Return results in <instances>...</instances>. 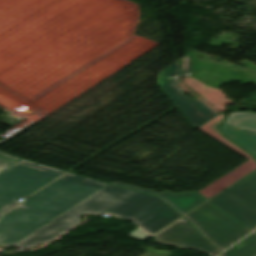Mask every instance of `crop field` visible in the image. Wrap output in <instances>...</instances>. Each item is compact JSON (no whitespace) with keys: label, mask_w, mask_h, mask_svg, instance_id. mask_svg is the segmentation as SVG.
I'll list each match as a JSON object with an SVG mask.
<instances>
[{"label":"crop field","mask_w":256,"mask_h":256,"mask_svg":"<svg viewBox=\"0 0 256 256\" xmlns=\"http://www.w3.org/2000/svg\"><path fill=\"white\" fill-rule=\"evenodd\" d=\"M83 213H110L129 217L152 234L182 217L156 196L109 184L14 245L27 248L52 241L80 223L78 217Z\"/></svg>","instance_id":"8a807250"},{"label":"crop field","mask_w":256,"mask_h":256,"mask_svg":"<svg viewBox=\"0 0 256 256\" xmlns=\"http://www.w3.org/2000/svg\"><path fill=\"white\" fill-rule=\"evenodd\" d=\"M107 184L71 173L57 179L0 220V245L10 247Z\"/></svg>","instance_id":"ac0d7876"},{"label":"crop field","mask_w":256,"mask_h":256,"mask_svg":"<svg viewBox=\"0 0 256 256\" xmlns=\"http://www.w3.org/2000/svg\"><path fill=\"white\" fill-rule=\"evenodd\" d=\"M66 172L23 159L0 173V217Z\"/></svg>","instance_id":"34b2d1b8"},{"label":"crop field","mask_w":256,"mask_h":256,"mask_svg":"<svg viewBox=\"0 0 256 256\" xmlns=\"http://www.w3.org/2000/svg\"><path fill=\"white\" fill-rule=\"evenodd\" d=\"M184 218L220 251L251 232L208 202Z\"/></svg>","instance_id":"412701ff"},{"label":"crop field","mask_w":256,"mask_h":256,"mask_svg":"<svg viewBox=\"0 0 256 256\" xmlns=\"http://www.w3.org/2000/svg\"><path fill=\"white\" fill-rule=\"evenodd\" d=\"M208 202L252 231L256 228V171Z\"/></svg>","instance_id":"f4fd0767"},{"label":"crop field","mask_w":256,"mask_h":256,"mask_svg":"<svg viewBox=\"0 0 256 256\" xmlns=\"http://www.w3.org/2000/svg\"><path fill=\"white\" fill-rule=\"evenodd\" d=\"M180 74V62L176 61L169 68L160 72L158 83L196 128L218 113L201 101L192 100L182 93L181 88L177 85Z\"/></svg>","instance_id":"dd49c442"},{"label":"crop field","mask_w":256,"mask_h":256,"mask_svg":"<svg viewBox=\"0 0 256 256\" xmlns=\"http://www.w3.org/2000/svg\"><path fill=\"white\" fill-rule=\"evenodd\" d=\"M223 118L224 115L223 113H221L199 128L227 144L233 150L246 157L248 161L243 163L239 167L235 168L234 170L230 171L217 181L200 190L199 193L202 194L207 199L212 197L216 193L220 192L221 190H223L224 188H226L227 186H229L230 184L237 181L238 179H240L241 177H243L244 175H246L247 173L256 168V161L251 155H249L242 149L238 148L221 135L218 125L222 122Z\"/></svg>","instance_id":"e52e79f7"},{"label":"crop field","mask_w":256,"mask_h":256,"mask_svg":"<svg viewBox=\"0 0 256 256\" xmlns=\"http://www.w3.org/2000/svg\"><path fill=\"white\" fill-rule=\"evenodd\" d=\"M154 237L157 243L162 245L192 248L211 256L220 253L219 250L199 234L184 218Z\"/></svg>","instance_id":"d8731c3e"},{"label":"crop field","mask_w":256,"mask_h":256,"mask_svg":"<svg viewBox=\"0 0 256 256\" xmlns=\"http://www.w3.org/2000/svg\"><path fill=\"white\" fill-rule=\"evenodd\" d=\"M233 126L232 128H230ZM227 138L252 153L256 158V114L230 113L224 125L221 126ZM238 127L241 131L233 128ZM252 130V132L250 131Z\"/></svg>","instance_id":"5a996713"},{"label":"crop field","mask_w":256,"mask_h":256,"mask_svg":"<svg viewBox=\"0 0 256 256\" xmlns=\"http://www.w3.org/2000/svg\"><path fill=\"white\" fill-rule=\"evenodd\" d=\"M113 184H117V185H121V186L129 187L132 189L158 195L162 199H164L166 202H168L171 206H173L175 209H177L182 215L190 211L200 203L207 200L198 192L184 193V194H173L170 192L159 193V192L149 191V190H145V189H141V188H137V187H133V186L117 183V182H114Z\"/></svg>","instance_id":"3316defc"},{"label":"crop field","mask_w":256,"mask_h":256,"mask_svg":"<svg viewBox=\"0 0 256 256\" xmlns=\"http://www.w3.org/2000/svg\"><path fill=\"white\" fill-rule=\"evenodd\" d=\"M221 256H256V234H251Z\"/></svg>","instance_id":"28ad6ade"},{"label":"crop field","mask_w":256,"mask_h":256,"mask_svg":"<svg viewBox=\"0 0 256 256\" xmlns=\"http://www.w3.org/2000/svg\"><path fill=\"white\" fill-rule=\"evenodd\" d=\"M179 61H181L183 64V75L182 76L191 75L192 67H191L190 56L187 55V56L183 57L182 59H180Z\"/></svg>","instance_id":"d1516ede"},{"label":"crop field","mask_w":256,"mask_h":256,"mask_svg":"<svg viewBox=\"0 0 256 256\" xmlns=\"http://www.w3.org/2000/svg\"><path fill=\"white\" fill-rule=\"evenodd\" d=\"M129 235H131L137 239H142V240H145L146 238L151 236V235H148L145 232H143L139 227L137 229H135L133 232H131Z\"/></svg>","instance_id":"22f410ed"},{"label":"crop field","mask_w":256,"mask_h":256,"mask_svg":"<svg viewBox=\"0 0 256 256\" xmlns=\"http://www.w3.org/2000/svg\"><path fill=\"white\" fill-rule=\"evenodd\" d=\"M17 161H13L4 157H0V172L11 166Z\"/></svg>","instance_id":"cbeb9de0"},{"label":"crop field","mask_w":256,"mask_h":256,"mask_svg":"<svg viewBox=\"0 0 256 256\" xmlns=\"http://www.w3.org/2000/svg\"><path fill=\"white\" fill-rule=\"evenodd\" d=\"M0 154H1V155H3V156H5V157L13 158V159H16V160L21 159V158H18V157H15V156H12V155H9V154H6V153H3V152H1V151H0Z\"/></svg>","instance_id":"5142ce71"},{"label":"crop field","mask_w":256,"mask_h":256,"mask_svg":"<svg viewBox=\"0 0 256 256\" xmlns=\"http://www.w3.org/2000/svg\"><path fill=\"white\" fill-rule=\"evenodd\" d=\"M254 233H256V232H254Z\"/></svg>","instance_id":"d9b57169"}]
</instances>
